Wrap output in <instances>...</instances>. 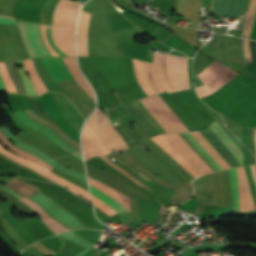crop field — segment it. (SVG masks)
<instances>
[{
  "instance_id": "crop-field-13",
  "label": "crop field",
  "mask_w": 256,
  "mask_h": 256,
  "mask_svg": "<svg viewBox=\"0 0 256 256\" xmlns=\"http://www.w3.org/2000/svg\"><path fill=\"white\" fill-rule=\"evenodd\" d=\"M157 144H159L175 161H177L188 173H190L194 178L200 175L166 142V140L161 136L152 138Z\"/></svg>"
},
{
  "instance_id": "crop-field-2",
  "label": "crop field",
  "mask_w": 256,
  "mask_h": 256,
  "mask_svg": "<svg viewBox=\"0 0 256 256\" xmlns=\"http://www.w3.org/2000/svg\"><path fill=\"white\" fill-rule=\"evenodd\" d=\"M148 98L163 114V116L170 122V124L176 129L178 133L188 131L183 123L178 119V117L171 111V109L162 101V99L158 95ZM148 98L141 99V101L153 114L157 121L164 127L167 132H176ZM141 101L138 100L130 102L126 104L125 107L136 120L146 136L149 137L157 133L166 132Z\"/></svg>"
},
{
  "instance_id": "crop-field-5",
  "label": "crop field",
  "mask_w": 256,
  "mask_h": 256,
  "mask_svg": "<svg viewBox=\"0 0 256 256\" xmlns=\"http://www.w3.org/2000/svg\"><path fill=\"white\" fill-rule=\"evenodd\" d=\"M24 47L30 58L52 56L45 46L40 25L16 21Z\"/></svg>"
},
{
  "instance_id": "crop-field-22",
  "label": "crop field",
  "mask_w": 256,
  "mask_h": 256,
  "mask_svg": "<svg viewBox=\"0 0 256 256\" xmlns=\"http://www.w3.org/2000/svg\"><path fill=\"white\" fill-rule=\"evenodd\" d=\"M255 13H256V0H251L250 8H249L245 28H244V32H243L241 37L246 36L247 38H249L251 28H252V24H253L254 17H255Z\"/></svg>"
},
{
  "instance_id": "crop-field-4",
  "label": "crop field",
  "mask_w": 256,
  "mask_h": 256,
  "mask_svg": "<svg viewBox=\"0 0 256 256\" xmlns=\"http://www.w3.org/2000/svg\"><path fill=\"white\" fill-rule=\"evenodd\" d=\"M89 183L96 186L97 188L103 190L104 192L110 194L116 199L122 201L123 203L129 205V197L123 195L122 193L88 177ZM90 185L91 193L102 199L108 206H110L114 211H116L122 222L130 221L129 206L123 204L122 202L116 200L115 198L109 196L103 191L97 189L96 187Z\"/></svg>"
},
{
  "instance_id": "crop-field-8",
  "label": "crop field",
  "mask_w": 256,
  "mask_h": 256,
  "mask_svg": "<svg viewBox=\"0 0 256 256\" xmlns=\"http://www.w3.org/2000/svg\"><path fill=\"white\" fill-rule=\"evenodd\" d=\"M15 114L18 116V118L24 124L30 126L31 128L35 129L39 133H41L44 136L48 137L49 139L54 141L56 144H58L59 146H61L62 148H64L68 152H70L72 155H74L75 157H77L78 159L83 161L82 160V155L78 151L74 150L71 146H69L67 143H65L55 133H53L49 128H46L47 126L44 127V126L34 122L30 118H28L22 111H17V112H15Z\"/></svg>"
},
{
  "instance_id": "crop-field-29",
  "label": "crop field",
  "mask_w": 256,
  "mask_h": 256,
  "mask_svg": "<svg viewBox=\"0 0 256 256\" xmlns=\"http://www.w3.org/2000/svg\"><path fill=\"white\" fill-rule=\"evenodd\" d=\"M92 199H93V203L94 205L100 209L101 211H103L104 213L112 216L114 214H116V212H114L110 207H108L102 200L98 199L97 197L92 195Z\"/></svg>"
},
{
  "instance_id": "crop-field-20",
  "label": "crop field",
  "mask_w": 256,
  "mask_h": 256,
  "mask_svg": "<svg viewBox=\"0 0 256 256\" xmlns=\"http://www.w3.org/2000/svg\"><path fill=\"white\" fill-rule=\"evenodd\" d=\"M16 65L17 64H21L22 65V69H18L20 75H21V78L23 80V83H24V86H25V90H26V93L28 95H38L31 79L25 74L26 70H25V67H24V64H23V61L22 60H18V61H15Z\"/></svg>"
},
{
  "instance_id": "crop-field-34",
  "label": "crop field",
  "mask_w": 256,
  "mask_h": 256,
  "mask_svg": "<svg viewBox=\"0 0 256 256\" xmlns=\"http://www.w3.org/2000/svg\"><path fill=\"white\" fill-rule=\"evenodd\" d=\"M41 28H42V35H43V39H44V42L46 44V46L48 47V49L50 50V52L53 54L54 57H57L59 56L49 45L48 41H47V38H46V34H45V26L44 25H41Z\"/></svg>"
},
{
  "instance_id": "crop-field-10",
  "label": "crop field",
  "mask_w": 256,
  "mask_h": 256,
  "mask_svg": "<svg viewBox=\"0 0 256 256\" xmlns=\"http://www.w3.org/2000/svg\"><path fill=\"white\" fill-rule=\"evenodd\" d=\"M46 70L53 79V81H60L72 78L71 74L67 70L66 66L62 62L61 58H41Z\"/></svg>"
},
{
  "instance_id": "crop-field-32",
  "label": "crop field",
  "mask_w": 256,
  "mask_h": 256,
  "mask_svg": "<svg viewBox=\"0 0 256 256\" xmlns=\"http://www.w3.org/2000/svg\"><path fill=\"white\" fill-rule=\"evenodd\" d=\"M104 161H106L108 164H110L111 166H113L114 168H116L117 170L121 171L124 175H126L129 179L135 181L137 184H139V182L131 177L129 174H127L125 171H123L121 168L115 166L108 158H106L105 156H100ZM140 185V184H139ZM141 186V185H140Z\"/></svg>"
},
{
  "instance_id": "crop-field-36",
  "label": "crop field",
  "mask_w": 256,
  "mask_h": 256,
  "mask_svg": "<svg viewBox=\"0 0 256 256\" xmlns=\"http://www.w3.org/2000/svg\"><path fill=\"white\" fill-rule=\"evenodd\" d=\"M250 168H251L253 180H254L255 187H256V167H255V165H252V166H250Z\"/></svg>"
},
{
  "instance_id": "crop-field-17",
  "label": "crop field",
  "mask_w": 256,
  "mask_h": 256,
  "mask_svg": "<svg viewBox=\"0 0 256 256\" xmlns=\"http://www.w3.org/2000/svg\"><path fill=\"white\" fill-rule=\"evenodd\" d=\"M24 63H25L27 73L29 77L32 79L36 88L38 89L39 94H42L43 92L48 91L45 85L43 84V82L41 81L40 77L36 73L32 60L31 59L24 60Z\"/></svg>"
},
{
  "instance_id": "crop-field-9",
  "label": "crop field",
  "mask_w": 256,
  "mask_h": 256,
  "mask_svg": "<svg viewBox=\"0 0 256 256\" xmlns=\"http://www.w3.org/2000/svg\"><path fill=\"white\" fill-rule=\"evenodd\" d=\"M74 30L75 28L68 27L53 26L52 28L54 43L68 56H75Z\"/></svg>"
},
{
  "instance_id": "crop-field-23",
  "label": "crop field",
  "mask_w": 256,
  "mask_h": 256,
  "mask_svg": "<svg viewBox=\"0 0 256 256\" xmlns=\"http://www.w3.org/2000/svg\"><path fill=\"white\" fill-rule=\"evenodd\" d=\"M82 146L84 150V158H89L95 155H102L101 152L96 148L94 144L88 141L86 138L82 136Z\"/></svg>"
},
{
  "instance_id": "crop-field-35",
  "label": "crop field",
  "mask_w": 256,
  "mask_h": 256,
  "mask_svg": "<svg viewBox=\"0 0 256 256\" xmlns=\"http://www.w3.org/2000/svg\"><path fill=\"white\" fill-rule=\"evenodd\" d=\"M0 23L15 24L14 20L0 17Z\"/></svg>"
},
{
  "instance_id": "crop-field-31",
  "label": "crop field",
  "mask_w": 256,
  "mask_h": 256,
  "mask_svg": "<svg viewBox=\"0 0 256 256\" xmlns=\"http://www.w3.org/2000/svg\"><path fill=\"white\" fill-rule=\"evenodd\" d=\"M49 28H51L52 26H47ZM47 28V38L48 41L51 45V47L60 55V56H66L64 53H62L53 43L52 38H51V29Z\"/></svg>"
},
{
  "instance_id": "crop-field-14",
  "label": "crop field",
  "mask_w": 256,
  "mask_h": 256,
  "mask_svg": "<svg viewBox=\"0 0 256 256\" xmlns=\"http://www.w3.org/2000/svg\"><path fill=\"white\" fill-rule=\"evenodd\" d=\"M194 138L203 146V148L210 154V156L222 167L229 168L228 163L221 157L209 141L202 135L200 131L190 132Z\"/></svg>"
},
{
  "instance_id": "crop-field-38",
  "label": "crop field",
  "mask_w": 256,
  "mask_h": 256,
  "mask_svg": "<svg viewBox=\"0 0 256 256\" xmlns=\"http://www.w3.org/2000/svg\"><path fill=\"white\" fill-rule=\"evenodd\" d=\"M254 139H255V145H256V128H255V131H254Z\"/></svg>"
},
{
  "instance_id": "crop-field-37",
  "label": "crop field",
  "mask_w": 256,
  "mask_h": 256,
  "mask_svg": "<svg viewBox=\"0 0 256 256\" xmlns=\"http://www.w3.org/2000/svg\"><path fill=\"white\" fill-rule=\"evenodd\" d=\"M0 91H5V92H7L6 89H5V86H4V83H3L2 79H1V77H0Z\"/></svg>"
},
{
  "instance_id": "crop-field-15",
  "label": "crop field",
  "mask_w": 256,
  "mask_h": 256,
  "mask_svg": "<svg viewBox=\"0 0 256 256\" xmlns=\"http://www.w3.org/2000/svg\"><path fill=\"white\" fill-rule=\"evenodd\" d=\"M27 116L31 117L32 119L42 123V124H45L47 126H49V128L54 131L60 138H62L65 142H67L68 144H70L74 149L78 150L79 152L80 151V146H79V143H77L76 141H74L72 138H70L69 136H67L65 133H63L60 128L49 122V121H46L44 119H42L41 117L37 116L32 110H29V111H25L24 112Z\"/></svg>"
},
{
  "instance_id": "crop-field-28",
  "label": "crop field",
  "mask_w": 256,
  "mask_h": 256,
  "mask_svg": "<svg viewBox=\"0 0 256 256\" xmlns=\"http://www.w3.org/2000/svg\"><path fill=\"white\" fill-rule=\"evenodd\" d=\"M188 138L194 143V145L198 148V150L214 165L217 170L221 168L217 165V163L209 156V154L201 147V145L192 137L189 132L185 133Z\"/></svg>"
},
{
  "instance_id": "crop-field-11",
  "label": "crop field",
  "mask_w": 256,
  "mask_h": 256,
  "mask_svg": "<svg viewBox=\"0 0 256 256\" xmlns=\"http://www.w3.org/2000/svg\"><path fill=\"white\" fill-rule=\"evenodd\" d=\"M208 127L219 138V140L226 146V148L232 153V155L235 157L238 163L241 166H243V163H242L243 153L232 141V139L227 135V133L223 130V128L218 124V122L216 121Z\"/></svg>"
},
{
  "instance_id": "crop-field-26",
  "label": "crop field",
  "mask_w": 256,
  "mask_h": 256,
  "mask_svg": "<svg viewBox=\"0 0 256 256\" xmlns=\"http://www.w3.org/2000/svg\"><path fill=\"white\" fill-rule=\"evenodd\" d=\"M242 169H243V173H244V177H245V193H246L247 211L256 210L255 206H254V203H253L251 191H250V188H249V184H248V181H247V178H246L244 168L242 167Z\"/></svg>"
},
{
  "instance_id": "crop-field-18",
  "label": "crop field",
  "mask_w": 256,
  "mask_h": 256,
  "mask_svg": "<svg viewBox=\"0 0 256 256\" xmlns=\"http://www.w3.org/2000/svg\"><path fill=\"white\" fill-rule=\"evenodd\" d=\"M82 135L85 136L88 140L94 143L98 149L102 152L103 155L109 153V150L106 148L104 143L100 140V138L95 134L92 128L86 123Z\"/></svg>"
},
{
  "instance_id": "crop-field-27",
  "label": "crop field",
  "mask_w": 256,
  "mask_h": 256,
  "mask_svg": "<svg viewBox=\"0 0 256 256\" xmlns=\"http://www.w3.org/2000/svg\"><path fill=\"white\" fill-rule=\"evenodd\" d=\"M233 197H234V207L238 208V184L236 179L235 168L230 169Z\"/></svg>"
},
{
  "instance_id": "crop-field-7",
  "label": "crop field",
  "mask_w": 256,
  "mask_h": 256,
  "mask_svg": "<svg viewBox=\"0 0 256 256\" xmlns=\"http://www.w3.org/2000/svg\"><path fill=\"white\" fill-rule=\"evenodd\" d=\"M0 153H2L3 155L7 156L8 158L26 166V167H29L35 171H37L38 173L58 182L59 184H62L64 186H66L67 188H69L70 190H72L74 193H76L77 195L83 197L84 199L88 200L89 202L90 201V197H89V193L63 179H61L60 177H58L57 175L51 173L50 171L40 167L39 165L31 162V161H28V160H25V159H22L14 154H12L11 152H9L8 150H6L5 148H3L1 145H0Z\"/></svg>"
},
{
  "instance_id": "crop-field-25",
  "label": "crop field",
  "mask_w": 256,
  "mask_h": 256,
  "mask_svg": "<svg viewBox=\"0 0 256 256\" xmlns=\"http://www.w3.org/2000/svg\"><path fill=\"white\" fill-rule=\"evenodd\" d=\"M224 248H229V245H198L194 248H188V249L183 250L182 254L192 252V251H202V250L220 251Z\"/></svg>"
},
{
  "instance_id": "crop-field-21",
  "label": "crop field",
  "mask_w": 256,
  "mask_h": 256,
  "mask_svg": "<svg viewBox=\"0 0 256 256\" xmlns=\"http://www.w3.org/2000/svg\"><path fill=\"white\" fill-rule=\"evenodd\" d=\"M238 183H239V203L241 213H247L245 204V193H244V177L241 167L236 168Z\"/></svg>"
},
{
  "instance_id": "crop-field-6",
  "label": "crop field",
  "mask_w": 256,
  "mask_h": 256,
  "mask_svg": "<svg viewBox=\"0 0 256 256\" xmlns=\"http://www.w3.org/2000/svg\"><path fill=\"white\" fill-rule=\"evenodd\" d=\"M55 84L69 97L85 119L92 113L95 103L80 88L74 79L56 82Z\"/></svg>"
},
{
  "instance_id": "crop-field-19",
  "label": "crop field",
  "mask_w": 256,
  "mask_h": 256,
  "mask_svg": "<svg viewBox=\"0 0 256 256\" xmlns=\"http://www.w3.org/2000/svg\"><path fill=\"white\" fill-rule=\"evenodd\" d=\"M132 62H133V67H134V72H135L136 79H137L138 83L140 84V86L142 87L143 91L146 93L147 96L154 95L155 94L154 91L150 88V86L148 85V83L146 81V78L144 76L143 62L139 63V61H138V63H139V70H140V77H141L142 83L145 85V87L148 89V91L151 93V95H150V93L147 91V89L144 87V85L140 81L137 60H132Z\"/></svg>"
},
{
  "instance_id": "crop-field-16",
  "label": "crop field",
  "mask_w": 256,
  "mask_h": 256,
  "mask_svg": "<svg viewBox=\"0 0 256 256\" xmlns=\"http://www.w3.org/2000/svg\"><path fill=\"white\" fill-rule=\"evenodd\" d=\"M0 141L6 146L8 147L12 152L19 154L27 159H30L32 161H35L36 163L44 166L45 168H47L48 170H51L52 167H50L48 164H46L44 161L40 160L39 158L19 149L14 147L9 141L8 139L0 132Z\"/></svg>"
},
{
  "instance_id": "crop-field-3",
  "label": "crop field",
  "mask_w": 256,
  "mask_h": 256,
  "mask_svg": "<svg viewBox=\"0 0 256 256\" xmlns=\"http://www.w3.org/2000/svg\"><path fill=\"white\" fill-rule=\"evenodd\" d=\"M87 122L111 152L128 147L120 134L111 126L102 110L94 111Z\"/></svg>"
},
{
  "instance_id": "crop-field-33",
  "label": "crop field",
  "mask_w": 256,
  "mask_h": 256,
  "mask_svg": "<svg viewBox=\"0 0 256 256\" xmlns=\"http://www.w3.org/2000/svg\"><path fill=\"white\" fill-rule=\"evenodd\" d=\"M243 48H244L247 63L252 62L250 52H249V40L243 39Z\"/></svg>"
},
{
  "instance_id": "crop-field-1",
  "label": "crop field",
  "mask_w": 256,
  "mask_h": 256,
  "mask_svg": "<svg viewBox=\"0 0 256 256\" xmlns=\"http://www.w3.org/2000/svg\"><path fill=\"white\" fill-rule=\"evenodd\" d=\"M149 84L157 93L188 90V58L153 53V63L144 62Z\"/></svg>"
},
{
  "instance_id": "crop-field-12",
  "label": "crop field",
  "mask_w": 256,
  "mask_h": 256,
  "mask_svg": "<svg viewBox=\"0 0 256 256\" xmlns=\"http://www.w3.org/2000/svg\"><path fill=\"white\" fill-rule=\"evenodd\" d=\"M20 201H22L23 203L27 204L28 206H30L36 213L37 215L40 217V219L45 223V225L54 233L58 234L60 232L66 231L68 230L67 228H65L64 226H62L61 224H59L58 222H56L55 220H53L52 218H50L43 210L42 208L37 205L36 203L29 201L26 198H21L19 199Z\"/></svg>"
},
{
  "instance_id": "crop-field-30",
  "label": "crop field",
  "mask_w": 256,
  "mask_h": 256,
  "mask_svg": "<svg viewBox=\"0 0 256 256\" xmlns=\"http://www.w3.org/2000/svg\"><path fill=\"white\" fill-rule=\"evenodd\" d=\"M31 246H33L34 248H36V249L39 250L40 252L45 253V254H47V255H49V256H51V255H53L54 253H56V252H54V251L48 249L47 247H45L43 244H41V243H39V242H37V243H35V244L31 245Z\"/></svg>"
},
{
  "instance_id": "crop-field-24",
  "label": "crop field",
  "mask_w": 256,
  "mask_h": 256,
  "mask_svg": "<svg viewBox=\"0 0 256 256\" xmlns=\"http://www.w3.org/2000/svg\"><path fill=\"white\" fill-rule=\"evenodd\" d=\"M0 75L7 86L8 92L17 93L4 62L0 63Z\"/></svg>"
}]
</instances>
